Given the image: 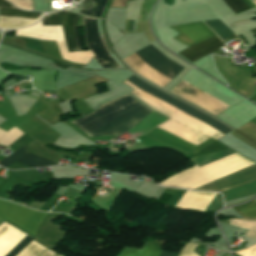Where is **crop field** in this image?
Segmentation results:
<instances>
[{
  "mask_svg": "<svg viewBox=\"0 0 256 256\" xmlns=\"http://www.w3.org/2000/svg\"><path fill=\"white\" fill-rule=\"evenodd\" d=\"M215 195L216 194L211 193H198L186 191V193L183 195V197L176 205V207L183 209H193L204 212L205 208L215 197Z\"/></svg>",
  "mask_w": 256,
  "mask_h": 256,
  "instance_id": "obj_15",
  "label": "crop field"
},
{
  "mask_svg": "<svg viewBox=\"0 0 256 256\" xmlns=\"http://www.w3.org/2000/svg\"><path fill=\"white\" fill-rule=\"evenodd\" d=\"M0 7H13V6L4 0H0Z\"/></svg>",
  "mask_w": 256,
  "mask_h": 256,
  "instance_id": "obj_30",
  "label": "crop field"
},
{
  "mask_svg": "<svg viewBox=\"0 0 256 256\" xmlns=\"http://www.w3.org/2000/svg\"><path fill=\"white\" fill-rule=\"evenodd\" d=\"M127 81L134 84L135 86H137L141 90L153 95L154 97H156V98H158V99H160V100L178 108L179 110L186 113L187 115H189V116L201 121L202 123L214 128L215 130L219 131L220 133H222L224 135L227 134L230 131L229 129L225 128L224 126L217 123L213 119H211V118L199 113L198 111L194 110L193 108H191V107H189V106H187V105H185V104L167 96L166 94L162 93L161 91L143 83L140 79H138L134 76L129 78Z\"/></svg>",
  "mask_w": 256,
  "mask_h": 256,
  "instance_id": "obj_5",
  "label": "crop field"
},
{
  "mask_svg": "<svg viewBox=\"0 0 256 256\" xmlns=\"http://www.w3.org/2000/svg\"><path fill=\"white\" fill-rule=\"evenodd\" d=\"M8 1L20 9L32 11L31 0H8Z\"/></svg>",
  "mask_w": 256,
  "mask_h": 256,
  "instance_id": "obj_24",
  "label": "crop field"
},
{
  "mask_svg": "<svg viewBox=\"0 0 256 256\" xmlns=\"http://www.w3.org/2000/svg\"><path fill=\"white\" fill-rule=\"evenodd\" d=\"M251 32L256 36V29L251 30Z\"/></svg>",
  "mask_w": 256,
  "mask_h": 256,
  "instance_id": "obj_33",
  "label": "crop field"
},
{
  "mask_svg": "<svg viewBox=\"0 0 256 256\" xmlns=\"http://www.w3.org/2000/svg\"><path fill=\"white\" fill-rule=\"evenodd\" d=\"M86 18V17H85ZM90 19V18H88ZM85 35L90 49L96 54L93 58L97 63H113L115 62L105 50L97 32V23L93 20L85 19ZM102 68L119 67L114 64H99Z\"/></svg>",
  "mask_w": 256,
  "mask_h": 256,
  "instance_id": "obj_10",
  "label": "crop field"
},
{
  "mask_svg": "<svg viewBox=\"0 0 256 256\" xmlns=\"http://www.w3.org/2000/svg\"><path fill=\"white\" fill-rule=\"evenodd\" d=\"M160 256H174V255L162 251Z\"/></svg>",
  "mask_w": 256,
  "mask_h": 256,
  "instance_id": "obj_31",
  "label": "crop field"
},
{
  "mask_svg": "<svg viewBox=\"0 0 256 256\" xmlns=\"http://www.w3.org/2000/svg\"><path fill=\"white\" fill-rule=\"evenodd\" d=\"M78 16L73 15L67 11L58 13H51L45 16L42 20L43 25H62L68 51H81L78 42L76 23Z\"/></svg>",
  "mask_w": 256,
  "mask_h": 256,
  "instance_id": "obj_6",
  "label": "crop field"
},
{
  "mask_svg": "<svg viewBox=\"0 0 256 256\" xmlns=\"http://www.w3.org/2000/svg\"><path fill=\"white\" fill-rule=\"evenodd\" d=\"M24 133L17 128H12L11 130L5 132L0 129V145L8 147L18 138H20Z\"/></svg>",
  "mask_w": 256,
  "mask_h": 256,
  "instance_id": "obj_18",
  "label": "crop field"
},
{
  "mask_svg": "<svg viewBox=\"0 0 256 256\" xmlns=\"http://www.w3.org/2000/svg\"><path fill=\"white\" fill-rule=\"evenodd\" d=\"M233 209L242 217L256 219V198L245 205L234 207Z\"/></svg>",
  "mask_w": 256,
  "mask_h": 256,
  "instance_id": "obj_21",
  "label": "crop field"
},
{
  "mask_svg": "<svg viewBox=\"0 0 256 256\" xmlns=\"http://www.w3.org/2000/svg\"><path fill=\"white\" fill-rule=\"evenodd\" d=\"M151 112L126 95L101 105L93 113L71 123L89 137L113 135L133 128Z\"/></svg>",
  "mask_w": 256,
  "mask_h": 256,
  "instance_id": "obj_1",
  "label": "crop field"
},
{
  "mask_svg": "<svg viewBox=\"0 0 256 256\" xmlns=\"http://www.w3.org/2000/svg\"><path fill=\"white\" fill-rule=\"evenodd\" d=\"M16 36L40 40H56L62 58L72 62L87 64L94 56L90 50L68 53L61 26H42V23L39 22L35 26L16 30Z\"/></svg>",
  "mask_w": 256,
  "mask_h": 256,
  "instance_id": "obj_3",
  "label": "crop field"
},
{
  "mask_svg": "<svg viewBox=\"0 0 256 256\" xmlns=\"http://www.w3.org/2000/svg\"><path fill=\"white\" fill-rule=\"evenodd\" d=\"M99 0H84L82 3V7L80 10V13L86 16H91V17H100L97 15H93L95 7L97 5ZM106 0H100L99 4L96 8L95 14L101 15L102 8L105 4ZM104 9V8H103Z\"/></svg>",
  "mask_w": 256,
  "mask_h": 256,
  "instance_id": "obj_17",
  "label": "crop field"
},
{
  "mask_svg": "<svg viewBox=\"0 0 256 256\" xmlns=\"http://www.w3.org/2000/svg\"><path fill=\"white\" fill-rule=\"evenodd\" d=\"M164 243L160 241L147 243L140 251L124 248L118 256H158Z\"/></svg>",
  "mask_w": 256,
  "mask_h": 256,
  "instance_id": "obj_16",
  "label": "crop field"
},
{
  "mask_svg": "<svg viewBox=\"0 0 256 256\" xmlns=\"http://www.w3.org/2000/svg\"><path fill=\"white\" fill-rule=\"evenodd\" d=\"M25 236L26 234L8 224L3 230L0 231V256H4ZM32 240L33 238L27 235L5 256H15Z\"/></svg>",
  "mask_w": 256,
  "mask_h": 256,
  "instance_id": "obj_9",
  "label": "crop field"
},
{
  "mask_svg": "<svg viewBox=\"0 0 256 256\" xmlns=\"http://www.w3.org/2000/svg\"><path fill=\"white\" fill-rule=\"evenodd\" d=\"M224 1L236 14L256 7L250 0H224Z\"/></svg>",
  "mask_w": 256,
  "mask_h": 256,
  "instance_id": "obj_19",
  "label": "crop field"
},
{
  "mask_svg": "<svg viewBox=\"0 0 256 256\" xmlns=\"http://www.w3.org/2000/svg\"><path fill=\"white\" fill-rule=\"evenodd\" d=\"M256 180V164L235 172L196 190L224 192Z\"/></svg>",
  "mask_w": 256,
  "mask_h": 256,
  "instance_id": "obj_8",
  "label": "crop field"
},
{
  "mask_svg": "<svg viewBox=\"0 0 256 256\" xmlns=\"http://www.w3.org/2000/svg\"><path fill=\"white\" fill-rule=\"evenodd\" d=\"M221 46H223L222 42L215 36L197 45L190 46L187 49L179 52V54L193 63L202 57L216 51V48Z\"/></svg>",
  "mask_w": 256,
  "mask_h": 256,
  "instance_id": "obj_13",
  "label": "crop field"
},
{
  "mask_svg": "<svg viewBox=\"0 0 256 256\" xmlns=\"http://www.w3.org/2000/svg\"><path fill=\"white\" fill-rule=\"evenodd\" d=\"M256 102V101H255Z\"/></svg>",
  "mask_w": 256,
  "mask_h": 256,
  "instance_id": "obj_35",
  "label": "crop field"
},
{
  "mask_svg": "<svg viewBox=\"0 0 256 256\" xmlns=\"http://www.w3.org/2000/svg\"><path fill=\"white\" fill-rule=\"evenodd\" d=\"M144 62L160 73L174 79L184 68L173 62L151 44L135 52Z\"/></svg>",
  "mask_w": 256,
  "mask_h": 256,
  "instance_id": "obj_7",
  "label": "crop field"
},
{
  "mask_svg": "<svg viewBox=\"0 0 256 256\" xmlns=\"http://www.w3.org/2000/svg\"><path fill=\"white\" fill-rule=\"evenodd\" d=\"M195 247V244L187 243L185 247L180 251L178 256H197L192 252Z\"/></svg>",
  "mask_w": 256,
  "mask_h": 256,
  "instance_id": "obj_25",
  "label": "crop field"
},
{
  "mask_svg": "<svg viewBox=\"0 0 256 256\" xmlns=\"http://www.w3.org/2000/svg\"><path fill=\"white\" fill-rule=\"evenodd\" d=\"M252 164L254 163L234 153L200 168L196 165L158 184L166 187L194 190Z\"/></svg>",
  "mask_w": 256,
  "mask_h": 256,
  "instance_id": "obj_2",
  "label": "crop field"
},
{
  "mask_svg": "<svg viewBox=\"0 0 256 256\" xmlns=\"http://www.w3.org/2000/svg\"><path fill=\"white\" fill-rule=\"evenodd\" d=\"M236 253L240 256H256V244Z\"/></svg>",
  "mask_w": 256,
  "mask_h": 256,
  "instance_id": "obj_27",
  "label": "crop field"
},
{
  "mask_svg": "<svg viewBox=\"0 0 256 256\" xmlns=\"http://www.w3.org/2000/svg\"><path fill=\"white\" fill-rule=\"evenodd\" d=\"M40 256H59V255L48 249L45 253L41 254Z\"/></svg>",
  "mask_w": 256,
  "mask_h": 256,
  "instance_id": "obj_28",
  "label": "crop field"
},
{
  "mask_svg": "<svg viewBox=\"0 0 256 256\" xmlns=\"http://www.w3.org/2000/svg\"><path fill=\"white\" fill-rule=\"evenodd\" d=\"M222 40L234 35L219 20L204 22Z\"/></svg>",
  "mask_w": 256,
  "mask_h": 256,
  "instance_id": "obj_20",
  "label": "crop field"
},
{
  "mask_svg": "<svg viewBox=\"0 0 256 256\" xmlns=\"http://www.w3.org/2000/svg\"><path fill=\"white\" fill-rule=\"evenodd\" d=\"M221 206H222L221 195L217 194V196L213 199V201L209 204V206L207 207V209L205 211L215 210Z\"/></svg>",
  "mask_w": 256,
  "mask_h": 256,
  "instance_id": "obj_26",
  "label": "crop field"
},
{
  "mask_svg": "<svg viewBox=\"0 0 256 256\" xmlns=\"http://www.w3.org/2000/svg\"><path fill=\"white\" fill-rule=\"evenodd\" d=\"M46 248L36 242H32L17 256H39Z\"/></svg>",
  "mask_w": 256,
  "mask_h": 256,
  "instance_id": "obj_22",
  "label": "crop field"
},
{
  "mask_svg": "<svg viewBox=\"0 0 256 256\" xmlns=\"http://www.w3.org/2000/svg\"><path fill=\"white\" fill-rule=\"evenodd\" d=\"M256 14V13H255Z\"/></svg>",
  "mask_w": 256,
  "mask_h": 256,
  "instance_id": "obj_36",
  "label": "crop field"
},
{
  "mask_svg": "<svg viewBox=\"0 0 256 256\" xmlns=\"http://www.w3.org/2000/svg\"><path fill=\"white\" fill-rule=\"evenodd\" d=\"M41 14L42 13L22 12L20 10L0 8V16H4V17L37 19ZM43 15H41L37 20L0 17V28L24 27L26 25H29V24H32V23L38 21Z\"/></svg>",
  "mask_w": 256,
  "mask_h": 256,
  "instance_id": "obj_12",
  "label": "crop field"
},
{
  "mask_svg": "<svg viewBox=\"0 0 256 256\" xmlns=\"http://www.w3.org/2000/svg\"><path fill=\"white\" fill-rule=\"evenodd\" d=\"M32 211L33 210L20 205L0 200V220H8L20 228ZM46 214L47 213L44 212L33 211L28 220L22 226V229L34 235Z\"/></svg>",
  "mask_w": 256,
  "mask_h": 256,
  "instance_id": "obj_4",
  "label": "crop field"
},
{
  "mask_svg": "<svg viewBox=\"0 0 256 256\" xmlns=\"http://www.w3.org/2000/svg\"><path fill=\"white\" fill-rule=\"evenodd\" d=\"M15 161L31 167H47V166L57 165L50 161L28 154L25 146L19 148L15 153L1 160L0 165L5 167Z\"/></svg>",
  "mask_w": 256,
  "mask_h": 256,
  "instance_id": "obj_14",
  "label": "crop field"
},
{
  "mask_svg": "<svg viewBox=\"0 0 256 256\" xmlns=\"http://www.w3.org/2000/svg\"><path fill=\"white\" fill-rule=\"evenodd\" d=\"M7 225V223H3L2 225H0V230L3 228V227H5Z\"/></svg>",
  "mask_w": 256,
  "mask_h": 256,
  "instance_id": "obj_32",
  "label": "crop field"
},
{
  "mask_svg": "<svg viewBox=\"0 0 256 256\" xmlns=\"http://www.w3.org/2000/svg\"><path fill=\"white\" fill-rule=\"evenodd\" d=\"M179 27L187 34V36L194 42H200L205 39H208L215 34L202 22L199 23H191V24H183L179 25ZM178 26H173V28L176 32H178L180 35L175 37L174 39L190 46L194 44L187 36L186 34L179 28Z\"/></svg>",
  "mask_w": 256,
  "mask_h": 256,
  "instance_id": "obj_11",
  "label": "crop field"
},
{
  "mask_svg": "<svg viewBox=\"0 0 256 256\" xmlns=\"http://www.w3.org/2000/svg\"><path fill=\"white\" fill-rule=\"evenodd\" d=\"M250 99L255 101L256 100V94L252 98H250Z\"/></svg>",
  "mask_w": 256,
  "mask_h": 256,
  "instance_id": "obj_34",
  "label": "crop field"
},
{
  "mask_svg": "<svg viewBox=\"0 0 256 256\" xmlns=\"http://www.w3.org/2000/svg\"><path fill=\"white\" fill-rule=\"evenodd\" d=\"M134 20H130L129 31H132ZM129 20H126L125 31H128Z\"/></svg>",
  "mask_w": 256,
  "mask_h": 256,
  "instance_id": "obj_29",
  "label": "crop field"
},
{
  "mask_svg": "<svg viewBox=\"0 0 256 256\" xmlns=\"http://www.w3.org/2000/svg\"><path fill=\"white\" fill-rule=\"evenodd\" d=\"M229 224L246 229L256 230V221L244 219H229Z\"/></svg>",
  "mask_w": 256,
  "mask_h": 256,
  "instance_id": "obj_23",
  "label": "crop field"
}]
</instances>
